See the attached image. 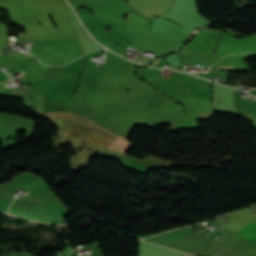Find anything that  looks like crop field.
<instances>
[{
	"mask_svg": "<svg viewBox=\"0 0 256 256\" xmlns=\"http://www.w3.org/2000/svg\"><path fill=\"white\" fill-rule=\"evenodd\" d=\"M130 15H131V13L128 15L127 19L129 18Z\"/></svg>",
	"mask_w": 256,
	"mask_h": 256,
	"instance_id": "1",
	"label": "crop field"
},
{
	"mask_svg": "<svg viewBox=\"0 0 256 256\" xmlns=\"http://www.w3.org/2000/svg\"><path fill=\"white\" fill-rule=\"evenodd\" d=\"M231 67H239V66H231Z\"/></svg>",
	"mask_w": 256,
	"mask_h": 256,
	"instance_id": "2",
	"label": "crop field"
},
{
	"mask_svg": "<svg viewBox=\"0 0 256 256\" xmlns=\"http://www.w3.org/2000/svg\"><path fill=\"white\" fill-rule=\"evenodd\" d=\"M158 60L156 61L155 65L157 64Z\"/></svg>",
	"mask_w": 256,
	"mask_h": 256,
	"instance_id": "3",
	"label": "crop field"
}]
</instances>
